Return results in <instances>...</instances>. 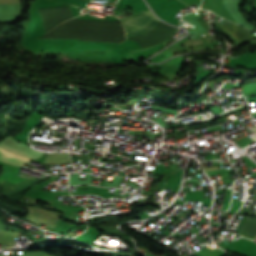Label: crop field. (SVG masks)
Returning <instances> with one entry per match:
<instances>
[{"mask_svg": "<svg viewBox=\"0 0 256 256\" xmlns=\"http://www.w3.org/2000/svg\"><path fill=\"white\" fill-rule=\"evenodd\" d=\"M120 19L126 31V39L150 32L161 23L151 11L140 12L129 18Z\"/></svg>", "mask_w": 256, "mask_h": 256, "instance_id": "1", "label": "crop field"}, {"mask_svg": "<svg viewBox=\"0 0 256 256\" xmlns=\"http://www.w3.org/2000/svg\"><path fill=\"white\" fill-rule=\"evenodd\" d=\"M31 158L19 156L10 152H7L0 148V161L23 165L28 162Z\"/></svg>", "mask_w": 256, "mask_h": 256, "instance_id": "2", "label": "crop field"}, {"mask_svg": "<svg viewBox=\"0 0 256 256\" xmlns=\"http://www.w3.org/2000/svg\"><path fill=\"white\" fill-rule=\"evenodd\" d=\"M68 159H69L68 153H49L48 155H46L44 162L63 161ZM69 161L70 159L68 161H63V162H53V163H44V164H58V163H65Z\"/></svg>", "mask_w": 256, "mask_h": 256, "instance_id": "3", "label": "crop field"}, {"mask_svg": "<svg viewBox=\"0 0 256 256\" xmlns=\"http://www.w3.org/2000/svg\"><path fill=\"white\" fill-rule=\"evenodd\" d=\"M253 130L256 132V127H254Z\"/></svg>", "mask_w": 256, "mask_h": 256, "instance_id": "4", "label": "crop field"}, {"mask_svg": "<svg viewBox=\"0 0 256 256\" xmlns=\"http://www.w3.org/2000/svg\"><path fill=\"white\" fill-rule=\"evenodd\" d=\"M255 240H256V238H255Z\"/></svg>", "mask_w": 256, "mask_h": 256, "instance_id": "5", "label": "crop field"}]
</instances>
